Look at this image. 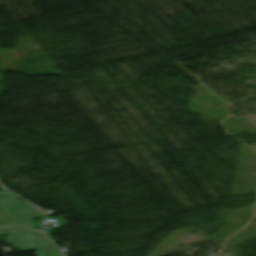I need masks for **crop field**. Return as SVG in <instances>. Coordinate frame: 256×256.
Returning a JSON list of instances; mask_svg holds the SVG:
<instances>
[{
	"instance_id": "1",
	"label": "crop field",
	"mask_w": 256,
	"mask_h": 256,
	"mask_svg": "<svg viewBox=\"0 0 256 256\" xmlns=\"http://www.w3.org/2000/svg\"><path fill=\"white\" fill-rule=\"evenodd\" d=\"M38 217H43L40 210L6 190L0 191V231L31 229V219Z\"/></svg>"
},
{
	"instance_id": "2",
	"label": "crop field",
	"mask_w": 256,
	"mask_h": 256,
	"mask_svg": "<svg viewBox=\"0 0 256 256\" xmlns=\"http://www.w3.org/2000/svg\"><path fill=\"white\" fill-rule=\"evenodd\" d=\"M7 243H18L21 251L40 249L53 246L41 232L29 231L27 233L10 232L6 237Z\"/></svg>"
},
{
	"instance_id": "3",
	"label": "crop field",
	"mask_w": 256,
	"mask_h": 256,
	"mask_svg": "<svg viewBox=\"0 0 256 256\" xmlns=\"http://www.w3.org/2000/svg\"><path fill=\"white\" fill-rule=\"evenodd\" d=\"M36 256H62L60 251L55 249L34 251Z\"/></svg>"
}]
</instances>
